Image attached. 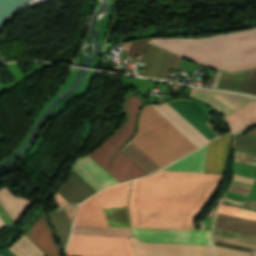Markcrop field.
I'll list each match as a JSON object with an SVG mask.
<instances>
[{
  "label": "crop field",
  "instance_id": "8a807250",
  "mask_svg": "<svg viewBox=\"0 0 256 256\" xmlns=\"http://www.w3.org/2000/svg\"><path fill=\"white\" fill-rule=\"evenodd\" d=\"M223 176L159 171L133 181L128 203L131 225L196 229V220Z\"/></svg>",
  "mask_w": 256,
  "mask_h": 256
},
{
  "label": "crop field",
  "instance_id": "ac0d7876",
  "mask_svg": "<svg viewBox=\"0 0 256 256\" xmlns=\"http://www.w3.org/2000/svg\"><path fill=\"white\" fill-rule=\"evenodd\" d=\"M149 43L215 69L256 67V28L204 39H151Z\"/></svg>",
  "mask_w": 256,
  "mask_h": 256
},
{
  "label": "crop field",
  "instance_id": "34b2d1b8",
  "mask_svg": "<svg viewBox=\"0 0 256 256\" xmlns=\"http://www.w3.org/2000/svg\"><path fill=\"white\" fill-rule=\"evenodd\" d=\"M131 141L161 168L198 148L150 105L144 107ZM131 141L121 150L123 153L147 174L161 169Z\"/></svg>",
  "mask_w": 256,
  "mask_h": 256
},
{
  "label": "crop field",
  "instance_id": "412701ff",
  "mask_svg": "<svg viewBox=\"0 0 256 256\" xmlns=\"http://www.w3.org/2000/svg\"><path fill=\"white\" fill-rule=\"evenodd\" d=\"M195 104L188 99H176L151 106L199 147L218 136L206 124L214 119Z\"/></svg>",
  "mask_w": 256,
  "mask_h": 256
},
{
  "label": "crop field",
  "instance_id": "f4fd0767",
  "mask_svg": "<svg viewBox=\"0 0 256 256\" xmlns=\"http://www.w3.org/2000/svg\"><path fill=\"white\" fill-rule=\"evenodd\" d=\"M189 95L206 101L220 111L232 132L244 130L256 122V98L194 87Z\"/></svg>",
  "mask_w": 256,
  "mask_h": 256
},
{
  "label": "crop field",
  "instance_id": "dd49c442",
  "mask_svg": "<svg viewBox=\"0 0 256 256\" xmlns=\"http://www.w3.org/2000/svg\"><path fill=\"white\" fill-rule=\"evenodd\" d=\"M68 256H135L127 238L72 235Z\"/></svg>",
  "mask_w": 256,
  "mask_h": 256
},
{
  "label": "crop field",
  "instance_id": "e52e79f7",
  "mask_svg": "<svg viewBox=\"0 0 256 256\" xmlns=\"http://www.w3.org/2000/svg\"><path fill=\"white\" fill-rule=\"evenodd\" d=\"M149 40L121 44L127 52L124 55L132 60L136 54L143 55L141 61L147 65L141 76L163 79L170 67L178 68L182 57L147 43Z\"/></svg>",
  "mask_w": 256,
  "mask_h": 256
},
{
  "label": "crop field",
  "instance_id": "d8731c3e",
  "mask_svg": "<svg viewBox=\"0 0 256 256\" xmlns=\"http://www.w3.org/2000/svg\"><path fill=\"white\" fill-rule=\"evenodd\" d=\"M117 150L118 149L107 140L92 153L88 154V156L112 175L119 183L146 175L145 172L120 151L115 155L109 169H107L111 158Z\"/></svg>",
  "mask_w": 256,
  "mask_h": 256
},
{
  "label": "crop field",
  "instance_id": "5a996713",
  "mask_svg": "<svg viewBox=\"0 0 256 256\" xmlns=\"http://www.w3.org/2000/svg\"><path fill=\"white\" fill-rule=\"evenodd\" d=\"M136 256H216L212 247L184 244L142 243L130 237Z\"/></svg>",
  "mask_w": 256,
  "mask_h": 256
},
{
  "label": "crop field",
  "instance_id": "3316defc",
  "mask_svg": "<svg viewBox=\"0 0 256 256\" xmlns=\"http://www.w3.org/2000/svg\"><path fill=\"white\" fill-rule=\"evenodd\" d=\"M212 227L256 236V212L221 204Z\"/></svg>",
  "mask_w": 256,
  "mask_h": 256
},
{
  "label": "crop field",
  "instance_id": "28ad6ade",
  "mask_svg": "<svg viewBox=\"0 0 256 256\" xmlns=\"http://www.w3.org/2000/svg\"><path fill=\"white\" fill-rule=\"evenodd\" d=\"M136 237L151 242L201 243L211 245L210 231L132 228Z\"/></svg>",
  "mask_w": 256,
  "mask_h": 256
},
{
  "label": "crop field",
  "instance_id": "d1516ede",
  "mask_svg": "<svg viewBox=\"0 0 256 256\" xmlns=\"http://www.w3.org/2000/svg\"><path fill=\"white\" fill-rule=\"evenodd\" d=\"M71 169H73L78 175H80L88 184H90L95 190L99 191L105 187L117 184L101 167H99L88 156L75 160L72 163Z\"/></svg>",
  "mask_w": 256,
  "mask_h": 256
},
{
  "label": "crop field",
  "instance_id": "22f410ed",
  "mask_svg": "<svg viewBox=\"0 0 256 256\" xmlns=\"http://www.w3.org/2000/svg\"><path fill=\"white\" fill-rule=\"evenodd\" d=\"M231 135L222 136L209 143L204 171L224 174Z\"/></svg>",
  "mask_w": 256,
  "mask_h": 256
},
{
  "label": "crop field",
  "instance_id": "cbeb9de0",
  "mask_svg": "<svg viewBox=\"0 0 256 256\" xmlns=\"http://www.w3.org/2000/svg\"><path fill=\"white\" fill-rule=\"evenodd\" d=\"M218 89L256 96V69L238 73L223 72Z\"/></svg>",
  "mask_w": 256,
  "mask_h": 256
},
{
  "label": "crop field",
  "instance_id": "5142ce71",
  "mask_svg": "<svg viewBox=\"0 0 256 256\" xmlns=\"http://www.w3.org/2000/svg\"><path fill=\"white\" fill-rule=\"evenodd\" d=\"M25 234L48 256L61 254L44 214L40 216Z\"/></svg>",
  "mask_w": 256,
  "mask_h": 256
},
{
  "label": "crop field",
  "instance_id": "d9b57169",
  "mask_svg": "<svg viewBox=\"0 0 256 256\" xmlns=\"http://www.w3.org/2000/svg\"><path fill=\"white\" fill-rule=\"evenodd\" d=\"M74 224L108 226L104 211L94 196L80 205Z\"/></svg>",
  "mask_w": 256,
  "mask_h": 256
},
{
  "label": "crop field",
  "instance_id": "733c2abd",
  "mask_svg": "<svg viewBox=\"0 0 256 256\" xmlns=\"http://www.w3.org/2000/svg\"><path fill=\"white\" fill-rule=\"evenodd\" d=\"M77 206L73 205L48 213L63 250H65Z\"/></svg>",
  "mask_w": 256,
  "mask_h": 256
},
{
  "label": "crop field",
  "instance_id": "4a817a6b",
  "mask_svg": "<svg viewBox=\"0 0 256 256\" xmlns=\"http://www.w3.org/2000/svg\"><path fill=\"white\" fill-rule=\"evenodd\" d=\"M142 101L140 98L130 95L127 109L125 112L130 113L129 118L124 127L113 134L108 140L113 143L118 149L128 140L133 134V129L136 121V115L141 107Z\"/></svg>",
  "mask_w": 256,
  "mask_h": 256
},
{
  "label": "crop field",
  "instance_id": "bc2a9ffb",
  "mask_svg": "<svg viewBox=\"0 0 256 256\" xmlns=\"http://www.w3.org/2000/svg\"><path fill=\"white\" fill-rule=\"evenodd\" d=\"M130 182L123 183L94 195L103 209L126 206Z\"/></svg>",
  "mask_w": 256,
  "mask_h": 256
},
{
  "label": "crop field",
  "instance_id": "214f88e0",
  "mask_svg": "<svg viewBox=\"0 0 256 256\" xmlns=\"http://www.w3.org/2000/svg\"><path fill=\"white\" fill-rule=\"evenodd\" d=\"M61 187L72 197L76 203L82 202L97 192L72 170L67 180Z\"/></svg>",
  "mask_w": 256,
  "mask_h": 256
},
{
  "label": "crop field",
  "instance_id": "92a150f3",
  "mask_svg": "<svg viewBox=\"0 0 256 256\" xmlns=\"http://www.w3.org/2000/svg\"><path fill=\"white\" fill-rule=\"evenodd\" d=\"M30 201L29 199L14 197L6 186L0 189V206L12 222L21 215Z\"/></svg>",
  "mask_w": 256,
  "mask_h": 256
},
{
  "label": "crop field",
  "instance_id": "dafd665d",
  "mask_svg": "<svg viewBox=\"0 0 256 256\" xmlns=\"http://www.w3.org/2000/svg\"><path fill=\"white\" fill-rule=\"evenodd\" d=\"M207 146L208 145L204 146L193 154L175 162L174 164L164 168L163 170L202 172Z\"/></svg>",
  "mask_w": 256,
  "mask_h": 256
},
{
  "label": "crop field",
  "instance_id": "00972430",
  "mask_svg": "<svg viewBox=\"0 0 256 256\" xmlns=\"http://www.w3.org/2000/svg\"><path fill=\"white\" fill-rule=\"evenodd\" d=\"M72 234L128 237L130 229L74 225Z\"/></svg>",
  "mask_w": 256,
  "mask_h": 256
},
{
  "label": "crop field",
  "instance_id": "a9b5d70f",
  "mask_svg": "<svg viewBox=\"0 0 256 256\" xmlns=\"http://www.w3.org/2000/svg\"><path fill=\"white\" fill-rule=\"evenodd\" d=\"M7 249L16 256H47L25 235Z\"/></svg>",
  "mask_w": 256,
  "mask_h": 256
},
{
  "label": "crop field",
  "instance_id": "4177f3b9",
  "mask_svg": "<svg viewBox=\"0 0 256 256\" xmlns=\"http://www.w3.org/2000/svg\"><path fill=\"white\" fill-rule=\"evenodd\" d=\"M109 226L130 228L126 207L104 210Z\"/></svg>",
  "mask_w": 256,
  "mask_h": 256
},
{
  "label": "crop field",
  "instance_id": "730fd06b",
  "mask_svg": "<svg viewBox=\"0 0 256 256\" xmlns=\"http://www.w3.org/2000/svg\"><path fill=\"white\" fill-rule=\"evenodd\" d=\"M234 149L256 153V128L245 135H235Z\"/></svg>",
  "mask_w": 256,
  "mask_h": 256
},
{
  "label": "crop field",
  "instance_id": "eef30255",
  "mask_svg": "<svg viewBox=\"0 0 256 256\" xmlns=\"http://www.w3.org/2000/svg\"><path fill=\"white\" fill-rule=\"evenodd\" d=\"M54 199L59 208L75 204V202L67 195V193L61 187L54 195Z\"/></svg>",
  "mask_w": 256,
  "mask_h": 256
},
{
  "label": "crop field",
  "instance_id": "ae1a2a85",
  "mask_svg": "<svg viewBox=\"0 0 256 256\" xmlns=\"http://www.w3.org/2000/svg\"><path fill=\"white\" fill-rule=\"evenodd\" d=\"M213 248L218 256H252L250 254L224 250V249H220V248H216V247H213Z\"/></svg>",
  "mask_w": 256,
  "mask_h": 256
},
{
  "label": "crop field",
  "instance_id": "d3111659",
  "mask_svg": "<svg viewBox=\"0 0 256 256\" xmlns=\"http://www.w3.org/2000/svg\"><path fill=\"white\" fill-rule=\"evenodd\" d=\"M221 73H222L221 71H218V70L216 71V75L211 88L217 89Z\"/></svg>",
  "mask_w": 256,
  "mask_h": 256
},
{
  "label": "crop field",
  "instance_id": "750c4746",
  "mask_svg": "<svg viewBox=\"0 0 256 256\" xmlns=\"http://www.w3.org/2000/svg\"><path fill=\"white\" fill-rule=\"evenodd\" d=\"M0 217L4 220V222L7 224V226L13 224L1 208H0Z\"/></svg>",
  "mask_w": 256,
  "mask_h": 256
},
{
  "label": "crop field",
  "instance_id": "bd1437ed",
  "mask_svg": "<svg viewBox=\"0 0 256 256\" xmlns=\"http://www.w3.org/2000/svg\"><path fill=\"white\" fill-rule=\"evenodd\" d=\"M6 227V224L0 218V229Z\"/></svg>",
  "mask_w": 256,
  "mask_h": 256
},
{
  "label": "crop field",
  "instance_id": "1d83c4d3",
  "mask_svg": "<svg viewBox=\"0 0 256 256\" xmlns=\"http://www.w3.org/2000/svg\"><path fill=\"white\" fill-rule=\"evenodd\" d=\"M4 181L0 178V183H3Z\"/></svg>",
  "mask_w": 256,
  "mask_h": 256
}]
</instances>
